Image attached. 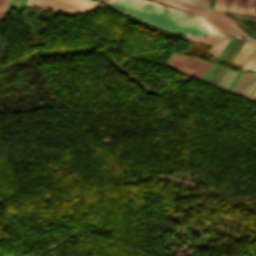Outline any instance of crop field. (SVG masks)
Instances as JSON below:
<instances>
[{
  "mask_svg": "<svg viewBox=\"0 0 256 256\" xmlns=\"http://www.w3.org/2000/svg\"><path fill=\"white\" fill-rule=\"evenodd\" d=\"M108 4L149 20L164 28L198 35H217L198 15L170 9L147 0H110Z\"/></svg>",
  "mask_w": 256,
  "mask_h": 256,
  "instance_id": "obj_1",
  "label": "crop field"
},
{
  "mask_svg": "<svg viewBox=\"0 0 256 256\" xmlns=\"http://www.w3.org/2000/svg\"><path fill=\"white\" fill-rule=\"evenodd\" d=\"M27 5L63 15L89 12L100 6L99 3L90 0H29Z\"/></svg>",
  "mask_w": 256,
  "mask_h": 256,
  "instance_id": "obj_2",
  "label": "crop field"
},
{
  "mask_svg": "<svg viewBox=\"0 0 256 256\" xmlns=\"http://www.w3.org/2000/svg\"><path fill=\"white\" fill-rule=\"evenodd\" d=\"M202 15L217 34H233L210 11L177 0H153Z\"/></svg>",
  "mask_w": 256,
  "mask_h": 256,
  "instance_id": "obj_3",
  "label": "crop field"
},
{
  "mask_svg": "<svg viewBox=\"0 0 256 256\" xmlns=\"http://www.w3.org/2000/svg\"><path fill=\"white\" fill-rule=\"evenodd\" d=\"M200 63L201 60L174 53L165 66L191 77Z\"/></svg>",
  "mask_w": 256,
  "mask_h": 256,
  "instance_id": "obj_4",
  "label": "crop field"
},
{
  "mask_svg": "<svg viewBox=\"0 0 256 256\" xmlns=\"http://www.w3.org/2000/svg\"><path fill=\"white\" fill-rule=\"evenodd\" d=\"M255 46H256V43L246 41V43L241 48V50L239 51L237 56L234 58L232 63L243 66V64L245 63V61L247 60V58L249 57L250 53L252 52Z\"/></svg>",
  "mask_w": 256,
  "mask_h": 256,
  "instance_id": "obj_5",
  "label": "crop field"
},
{
  "mask_svg": "<svg viewBox=\"0 0 256 256\" xmlns=\"http://www.w3.org/2000/svg\"><path fill=\"white\" fill-rule=\"evenodd\" d=\"M255 75L256 73L244 72V74L239 79L235 87L232 89V92L239 93L242 95V93L247 88V86L249 85V83L251 82Z\"/></svg>",
  "mask_w": 256,
  "mask_h": 256,
  "instance_id": "obj_6",
  "label": "crop field"
},
{
  "mask_svg": "<svg viewBox=\"0 0 256 256\" xmlns=\"http://www.w3.org/2000/svg\"><path fill=\"white\" fill-rule=\"evenodd\" d=\"M254 1L255 0H238L236 13L252 16Z\"/></svg>",
  "mask_w": 256,
  "mask_h": 256,
  "instance_id": "obj_7",
  "label": "crop field"
},
{
  "mask_svg": "<svg viewBox=\"0 0 256 256\" xmlns=\"http://www.w3.org/2000/svg\"><path fill=\"white\" fill-rule=\"evenodd\" d=\"M216 16H218L228 27H230L237 35L247 37L227 16L222 12L212 11Z\"/></svg>",
  "mask_w": 256,
  "mask_h": 256,
  "instance_id": "obj_8",
  "label": "crop field"
},
{
  "mask_svg": "<svg viewBox=\"0 0 256 256\" xmlns=\"http://www.w3.org/2000/svg\"><path fill=\"white\" fill-rule=\"evenodd\" d=\"M228 40L229 38H218V40L208 53V56L217 58V56L219 55V53L221 52V50L223 49Z\"/></svg>",
  "mask_w": 256,
  "mask_h": 256,
  "instance_id": "obj_9",
  "label": "crop field"
},
{
  "mask_svg": "<svg viewBox=\"0 0 256 256\" xmlns=\"http://www.w3.org/2000/svg\"><path fill=\"white\" fill-rule=\"evenodd\" d=\"M241 70L256 71V47Z\"/></svg>",
  "mask_w": 256,
  "mask_h": 256,
  "instance_id": "obj_10",
  "label": "crop field"
},
{
  "mask_svg": "<svg viewBox=\"0 0 256 256\" xmlns=\"http://www.w3.org/2000/svg\"><path fill=\"white\" fill-rule=\"evenodd\" d=\"M211 63H207L202 61V63L199 65L196 72L193 74V78L200 79L202 75L207 71V69L210 67Z\"/></svg>",
  "mask_w": 256,
  "mask_h": 256,
  "instance_id": "obj_11",
  "label": "crop field"
},
{
  "mask_svg": "<svg viewBox=\"0 0 256 256\" xmlns=\"http://www.w3.org/2000/svg\"><path fill=\"white\" fill-rule=\"evenodd\" d=\"M185 40L213 45L216 38L192 37L187 35Z\"/></svg>",
  "mask_w": 256,
  "mask_h": 256,
  "instance_id": "obj_12",
  "label": "crop field"
},
{
  "mask_svg": "<svg viewBox=\"0 0 256 256\" xmlns=\"http://www.w3.org/2000/svg\"><path fill=\"white\" fill-rule=\"evenodd\" d=\"M237 0H227L225 11L235 13Z\"/></svg>",
  "mask_w": 256,
  "mask_h": 256,
  "instance_id": "obj_13",
  "label": "crop field"
},
{
  "mask_svg": "<svg viewBox=\"0 0 256 256\" xmlns=\"http://www.w3.org/2000/svg\"><path fill=\"white\" fill-rule=\"evenodd\" d=\"M181 1L193 4V5H197L203 8H208V5H209L208 2L201 1V0H181Z\"/></svg>",
  "mask_w": 256,
  "mask_h": 256,
  "instance_id": "obj_14",
  "label": "crop field"
},
{
  "mask_svg": "<svg viewBox=\"0 0 256 256\" xmlns=\"http://www.w3.org/2000/svg\"><path fill=\"white\" fill-rule=\"evenodd\" d=\"M225 0H215L214 9L224 11Z\"/></svg>",
  "mask_w": 256,
  "mask_h": 256,
  "instance_id": "obj_15",
  "label": "crop field"
},
{
  "mask_svg": "<svg viewBox=\"0 0 256 256\" xmlns=\"http://www.w3.org/2000/svg\"><path fill=\"white\" fill-rule=\"evenodd\" d=\"M9 1L10 0H4L2 5H1V7H0V20H1L2 16H3L7 6H8Z\"/></svg>",
  "mask_w": 256,
  "mask_h": 256,
  "instance_id": "obj_16",
  "label": "crop field"
},
{
  "mask_svg": "<svg viewBox=\"0 0 256 256\" xmlns=\"http://www.w3.org/2000/svg\"><path fill=\"white\" fill-rule=\"evenodd\" d=\"M14 1H15V0H11V1H10L9 6H8L6 12H5L4 17H5V16L7 15V13L11 10V8H12V6H13V4H14ZM4 17H3V19H4ZM3 19H2V20H3ZM0 23H1V22H0Z\"/></svg>",
  "mask_w": 256,
  "mask_h": 256,
  "instance_id": "obj_17",
  "label": "crop field"
},
{
  "mask_svg": "<svg viewBox=\"0 0 256 256\" xmlns=\"http://www.w3.org/2000/svg\"><path fill=\"white\" fill-rule=\"evenodd\" d=\"M25 2H26V0H20V1H19V4H18V6H17L16 9H18V8H20V7H22V6H24Z\"/></svg>",
  "mask_w": 256,
  "mask_h": 256,
  "instance_id": "obj_18",
  "label": "crop field"
},
{
  "mask_svg": "<svg viewBox=\"0 0 256 256\" xmlns=\"http://www.w3.org/2000/svg\"><path fill=\"white\" fill-rule=\"evenodd\" d=\"M253 16L256 17V1H255V7H254V13H253Z\"/></svg>",
  "mask_w": 256,
  "mask_h": 256,
  "instance_id": "obj_19",
  "label": "crop field"
},
{
  "mask_svg": "<svg viewBox=\"0 0 256 256\" xmlns=\"http://www.w3.org/2000/svg\"><path fill=\"white\" fill-rule=\"evenodd\" d=\"M18 1H19V0H16L15 5H14V7H13L14 9L16 8V6H17V4H18Z\"/></svg>",
  "mask_w": 256,
  "mask_h": 256,
  "instance_id": "obj_20",
  "label": "crop field"
},
{
  "mask_svg": "<svg viewBox=\"0 0 256 256\" xmlns=\"http://www.w3.org/2000/svg\"><path fill=\"white\" fill-rule=\"evenodd\" d=\"M92 256H102V255H96V254H93Z\"/></svg>",
  "mask_w": 256,
  "mask_h": 256,
  "instance_id": "obj_21",
  "label": "crop field"
},
{
  "mask_svg": "<svg viewBox=\"0 0 256 256\" xmlns=\"http://www.w3.org/2000/svg\"><path fill=\"white\" fill-rule=\"evenodd\" d=\"M102 1H104V2H106V3H107L109 0H102Z\"/></svg>",
  "mask_w": 256,
  "mask_h": 256,
  "instance_id": "obj_22",
  "label": "crop field"
},
{
  "mask_svg": "<svg viewBox=\"0 0 256 256\" xmlns=\"http://www.w3.org/2000/svg\"><path fill=\"white\" fill-rule=\"evenodd\" d=\"M2 0H0V4H1Z\"/></svg>",
  "mask_w": 256,
  "mask_h": 256,
  "instance_id": "obj_23",
  "label": "crop field"
},
{
  "mask_svg": "<svg viewBox=\"0 0 256 256\" xmlns=\"http://www.w3.org/2000/svg\"><path fill=\"white\" fill-rule=\"evenodd\" d=\"M205 1H208V0H205ZM209 2V1H208Z\"/></svg>",
  "mask_w": 256,
  "mask_h": 256,
  "instance_id": "obj_24",
  "label": "crop field"
}]
</instances>
